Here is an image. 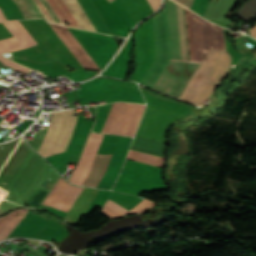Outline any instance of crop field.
<instances>
[{
  "mask_svg": "<svg viewBox=\"0 0 256 256\" xmlns=\"http://www.w3.org/2000/svg\"><path fill=\"white\" fill-rule=\"evenodd\" d=\"M153 23L157 58L141 81L149 88H153L171 58L180 59L174 2L166 0Z\"/></svg>",
  "mask_w": 256,
  "mask_h": 256,
  "instance_id": "8a807250",
  "label": "crop field"
},
{
  "mask_svg": "<svg viewBox=\"0 0 256 256\" xmlns=\"http://www.w3.org/2000/svg\"><path fill=\"white\" fill-rule=\"evenodd\" d=\"M231 56L227 51H203V63L180 99L205 104L220 80L226 76Z\"/></svg>",
  "mask_w": 256,
  "mask_h": 256,
  "instance_id": "ac0d7876",
  "label": "crop field"
},
{
  "mask_svg": "<svg viewBox=\"0 0 256 256\" xmlns=\"http://www.w3.org/2000/svg\"><path fill=\"white\" fill-rule=\"evenodd\" d=\"M175 7L181 60L171 59L154 89L179 97L199 62L189 61L184 8Z\"/></svg>",
  "mask_w": 256,
  "mask_h": 256,
  "instance_id": "34b2d1b8",
  "label": "crop field"
},
{
  "mask_svg": "<svg viewBox=\"0 0 256 256\" xmlns=\"http://www.w3.org/2000/svg\"><path fill=\"white\" fill-rule=\"evenodd\" d=\"M73 112L74 109L52 113L47 135L38 151L44 158L66 150L76 125L77 116L73 117Z\"/></svg>",
  "mask_w": 256,
  "mask_h": 256,
  "instance_id": "412701ff",
  "label": "crop field"
},
{
  "mask_svg": "<svg viewBox=\"0 0 256 256\" xmlns=\"http://www.w3.org/2000/svg\"><path fill=\"white\" fill-rule=\"evenodd\" d=\"M120 105L121 103H114L112 105L111 110L108 114V117L106 119V122L101 132L133 136L135 132H131V131L136 130L145 105L129 104V103H122L121 107ZM119 107H120V110H119ZM117 112H118V115H117ZM115 117H116V120H115ZM113 122H114V125H113ZM111 127L115 129H123V130H131V131L115 130V129H111Z\"/></svg>",
  "mask_w": 256,
  "mask_h": 256,
  "instance_id": "f4fd0767",
  "label": "crop field"
},
{
  "mask_svg": "<svg viewBox=\"0 0 256 256\" xmlns=\"http://www.w3.org/2000/svg\"><path fill=\"white\" fill-rule=\"evenodd\" d=\"M4 24L15 37L0 41V62L26 73L28 68L8 60L1 53L22 49L37 43L19 21H6Z\"/></svg>",
  "mask_w": 256,
  "mask_h": 256,
  "instance_id": "dd49c442",
  "label": "crop field"
},
{
  "mask_svg": "<svg viewBox=\"0 0 256 256\" xmlns=\"http://www.w3.org/2000/svg\"><path fill=\"white\" fill-rule=\"evenodd\" d=\"M103 136L101 134H89L77 167L68 181L82 185L93 165Z\"/></svg>",
  "mask_w": 256,
  "mask_h": 256,
  "instance_id": "e52e79f7",
  "label": "crop field"
},
{
  "mask_svg": "<svg viewBox=\"0 0 256 256\" xmlns=\"http://www.w3.org/2000/svg\"><path fill=\"white\" fill-rule=\"evenodd\" d=\"M82 190L83 188L75 187L60 177L43 205L68 212Z\"/></svg>",
  "mask_w": 256,
  "mask_h": 256,
  "instance_id": "d8731c3e",
  "label": "crop field"
},
{
  "mask_svg": "<svg viewBox=\"0 0 256 256\" xmlns=\"http://www.w3.org/2000/svg\"><path fill=\"white\" fill-rule=\"evenodd\" d=\"M43 12L47 21L64 25L63 21H68L70 26L79 27L71 11L63 0H35Z\"/></svg>",
  "mask_w": 256,
  "mask_h": 256,
  "instance_id": "5a996713",
  "label": "crop field"
},
{
  "mask_svg": "<svg viewBox=\"0 0 256 256\" xmlns=\"http://www.w3.org/2000/svg\"><path fill=\"white\" fill-rule=\"evenodd\" d=\"M50 25V24H49ZM83 67L101 71L67 28L50 25Z\"/></svg>",
  "mask_w": 256,
  "mask_h": 256,
  "instance_id": "3316defc",
  "label": "crop field"
},
{
  "mask_svg": "<svg viewBox=\"0 0 256 256\" xmlns=\"http://www.w3.org/2000/svg\"><path fill=\"white\" fill-rule=\"evenodd\" d=\"M112 154L97 155L95 163L83 185L97 187L102 178Z\"/></svg>",
  "mask_w": 256,
  "mask_h": 256,
  "instance_id": "28ad6ade",
  "label": "crop field"
},
{
  "mask_svg": "<svg viewBox=\"0 0 256 256\" xmlns=\"http://www.w3.org/2000/svg\"><path fill=\"white\" fill-rule=\"evenodd\" d=\"M165 145V143L136 136L131 149L164 158Z\"/></svg>",
  "mask_w": 256,
  "mask_h": 256,
  "instance_id": "d1516ede",
  "label": "crop field"
},
{
  "mask_svg": "<svg viewBox=\"0 0 256 256\" xmlns=\"http://www.w3.org/2000/svg\"><path fill=\"white\" fill-rule=\"evenodd\" d=\"M27 211L28 210L18 209L0 218V234H3L0 238V241L6 239V237L11 233V231L27 213ZM19 212L20 214L23 213V215L20 216L19 214L18 217L15 218Z\"/></svg>",
  "mask_w": 256,
  "mask_h": 256,
  "instance_id": "22f410ed",
  "label": "crop field"
},
{
  "mask_svg": "<svg viewBox=\"0 0 256 256\" xmlns=\"http://www.w3.org/2000/svg\"><path fill=\"white\" fill-rule=\"evenodd\" d=\"M64 1L67 3L68 7L72 11L73 15L75 16L76 20L80 24L81 28L95 31L94 27L90 23L89 19L85 15L84 11L80 7L77 0H64Z\"/></svg>",
  "mask_w": 256,
  "mask_h": 256,
  "instance_id": "cbeb9de0",
  "label": "crop field"
},
{
  "mask_svg": "<svg viewBox=\"0 0 256 256\" xmlns=\"http://www.w3.org/2000/svg\"><path fill=\"white\" fill-rule=\"evenodd\" d=\"M25 18L43 17L34 0H14Z\"/></svg>",
  "mask_w": 256,
  "mask_h": 256,
  "instance_id": "5142ce71",
  "label": "crop field"
},
{
  "mask_svg": "<svg viewBox=\"0 0 256 256\" xmlns=\"http://www.w3.org/2000/svg\"><path fill=\"white\" fill-rule=\"evenodd\" d=\"M127 158L161 166V167L163 166L165 161V159L163 158H159V157H155V156H151V155H147V154H143V153H139L131 150L129 151Z\"/></svg>",
  "mask_w": 256,
  "mask_h": 256,
  "instance_id": "d9b57169",
  "label": "crop field"
},
{
  "mask_svg": "<svg viewBox=\"0 0 256 256\" xmlns=\"http://www.w3.org/2000/svg\"><path fill=\"white\" fill-rule=\"evenodd\" d=\"M177 2L185 5L186 7L190 8V5L192 3V0H176Z\"/></svg>",
  "mask_w": 256,
  "mask_h": 256,
  "instance_id": "733c2abd",
  "label": "crop field"
},
{
  "mask_svg": "<svg viewBox=\"0 0 256 256\" xmlns=\"http://www.w3.org/2000/svg\"><path fill=\"white\" fill-rule=\"evenodd\" d=\"M250 34H251V36L256 38V26L254 28L250 29Z\"/></svg>",
  "mask_w": 256,
  "mask_h": 256,
  "instance_id": "4a817a6b",
  "label": "crop field"
},
{
  "mask_svg": "<svg viewBox=\"0 0 256 256\" xmlns=\"http://www.w3.org/2000/svg\"><path fill=\"white\" fill-rule=\"evenodd\" d=\"M4 20H6V19H5L4 15L2 14L1 10H0V22L4 21Z\"/></svg>",
  "mask_w": 256,
  "mask_h": 256,
  "instance_id": "bc2a9ffb",
  "label": "crop field"
},
{
  "mask_svg": "<svg viewBox=\"0 0 256 256\" xmlns=\"http://www.w3.org/2000/svg\"><path fill=\"white\" fill-rule=\"evenodd\" d=\"M109 2L113 1V0H108Z\"/></svg>",
  "mask_w": 256,
  "mask_h": 256,
  "instance_id": "214f88e0",
  "label": "crop field"
}]
</instances>
